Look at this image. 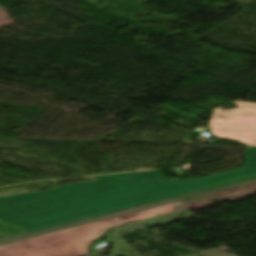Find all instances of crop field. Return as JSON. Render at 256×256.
Masks as SVG:
<instances>
[{
	"label": "crop field",
	"mask_w": 256,
	"mask_h": 256,
	"mask_svg": "<svg viewBox=\"0 0 256 256\" xmlns=\"http://www.w3.org/2000/svg\"><path fill=\"white\" fill-rule=\"evenodd\" d=\"M235 110H215L210 129L217 138L236 139L256 146V103L237 102Z\"/></svg>",
	"instance_id": "crop-field-3"
},
{
	"label": "crop field",
	"mask_w": 256,
	"mask_h": 256,
	"mask_svg": "<svg viewBox=\"0 0 256 256\" xmlns=\"http://www.w3.org/2000/svg\"><path fill=\"white\" fill-rule=\"evenodd\" d=\"M21 233H25V232L15 227H12L10 225H7L3 222H0V238L21 234Z\"/></svg>",
	"instance_id": "crop-field-4"
},
{
	"label": "crop field",
	"mask_w": 256,
	"mask_h": 256,
	"mask_svg": "<svg viewBox=\"0 0 256 256\" xmlns=\"http://www.w3.org/2000/svg\"><path fill=\"white\" fill-rule=\"evenodd\" d=\"M179 206L183 205L176 202L9 243L0 246V256H88V246L109 228L171 212Z\"/></svg>",
	"instance_id": "crop-field-2"
},
{
	"label": "crop field",
	"mask_w": 256,
	"mask_h": 256,
	"mask_svg": "<svg viewBox=\"0 0 256 256\" xmlns=\"http://www.w3.org/2000/svg\"><path fill=\"white\" fill-rule=\"evenodd\" d=\"M255 176L256 147H247L243 168L198 179L166 181L152 170L2 197L0 221L29 232Z\"/></svg>",
	"instance_id": "crop-field-1"
}]
</instances>
